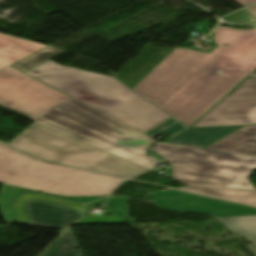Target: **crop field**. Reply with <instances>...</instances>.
<instances>
[{"instance_id":"crop-field-9","label":"crop field","mask_w":256,"mask_h":256,"mask_svg":"<svg viewBox=\"0 0 256 256\" xmlns=\"http://www.w3.org/2000/svg\"><path fill=\"white\" fill-rule=\"evenodd\" d=\"M256 124V78L242 84L192 127Z\"/></svg>"},{"instance_id":"crop-field-2","label":"crop field","mask_w":256,"mask_h":256,"mask_svg":"<svg viewBox=\"0 0 256 256\" xmlns=\"http://www.w3.org/2000/svg\"><path fill=\"white\" fill-rule=\"evenodd\" d=\"M25 74L141 132L172 117L114 77L62 66L52 60Z\"/></svg>"},{"instance_id":"crop-field-4","label":"crop field","mask_w":256,"mask_h":256,"mask_svg":"<svg viewBox=\"0 0 256 256\" xmlns=\"http://www.w3.org/2000/svg\"><path fill=\"white\" fill-rule=\"evenodd\" d=\"M123 179L36 161L0 143V183L60 197L109 195Z\"/></svg>"},{"instance_id":"crop-field-13","label":"crop field","mask_w":256,"mask_h":256,"mask_svg":"<svg viewBox=\"0 0 256 256\" xmlns=\"http://www.w3.org/2000/svg\"><path fill=\"white\" fill-rule=\"evenodd\" d=\"M239 126L189 128L169 141L205 147Z\"/></svg>"},{"instance_id":"crop-field-6","label":"crop field","mask_w":256,"mask_h":256,"mask_svg":"<svg viewBox=\"0 0 256 256\" xmlns=\"http://www.w3.org/2000/svg\"><path fill=\"white\" fill-rule=\"evenodd\" d=\"M9 144L46 161L127 178L150 171L35 122Z\"/></svg>"},{"instance_id":"crop-field-24","label":"crop field","mask_w":256,"mask_h":256,"mask_svg":"<svg viewBox=\"0 0 256 256\" xmlns=\"http://www.w3.org/2000/svg\"><path fill=\"white\" fill-rule=\"evenodd\" d=\"M105 196H93V197H72L70 199H74V200H78L81 201L83 203H87V202H91L100 198H103Z\"/></svg>"},{"instance_id":"crop-field-11","label":"crop field","mask_w":256,"mask_h":256,"mask_svg":"<svg viewBox=\"0 0 256 256\" xmlns=\"http://www.w3.org/2000/svg\"><path fill=\"white\" fill-rule=\"evenodd\" d=\"M207 149L256 157V126H244Z\"/></svg>"},{"instance_id":"crop-field-25","label":"crop field","mask_w":256,"mask_h":256,"mask_svg":"<svg viewBox=\"0 0 256 256\" xmlns=\"http://www.w3.org/2000/svg\"><path fill=\"white\" fill-rule=\"evenodd\" d=\"M235 1L238 2L240 5H242L243 7L256 2V0H235Z\"/></svg>"},{"instance_id":"crop-field-19","label":"crop field","mask_w":256,"mask_h":256,"mask_svg":"<svg viewBox=\"0 0 256 256\" xmlns=\"http://www.w3.org/2000/svg\"><path fill=\"white\" fill-rule=\"evenodd\" d=\"M100 223H127V220L118 215L110 216H88L76 224H100Z\"/></svg>"},{"instance_id":"crop-field-26","label":"crop field","mask_w":256,"mask_h":256,"mask_svg":"<svg viewBox=\"0 0 256 256\" xmlns=\"http://www.w3.org/2000/svg\"><path fill=\"white\" fill-rule=\"evenodd\" d=\"M247 10H249L253 16V18L256 20V5H253L251 7L246 8Z\"/></svg>"},{"instance_id":"crop-field-12","label":"crop field","mask_w":256,"mask_h":256,"mask_svg":"<svg viewBox=\"0 0 256 256\" xmlns=\"http://www.w3.org/2000/svg\"><path fill=\"white\" fill-rule=\"evenodd\" d=\"M45 47L47 45L0 34V70Z\"/></svg>"},{"instance_id":"crop-field-27","label":"crop field","mask_w":256,"mask_h":256,"mask_svg":"<svg viewBox=\"0 0 256 256\" xmlns=\"http://www.w3.org/2000/svg\"><path fill=\"white\" fill-rule=\"evenodd\" d=\"M108 198V197H107ZM107 198L100 199L98 201L92 202L90 204H105Z\"/></svg>"},{"instance_id":"crop-field-14","label":"crop field","mask_w":256,"mask_h":256,"mask_svg":"<svg viewBox=\"0 0 256 256\" xmlns=\"http://www.w3.org/2000/svg\"><path fill=\"white\" fill-rule=\"evenodd\" d=\"M256 206V191L184 187L178 188ZM215 197V198H216Z\"/></svg>"},{"instance_id":"crop-field-28","label":"crop field","mask_w":256,"mask_h":256,"mask_svg":"<svg viewBox=\"0 0 256 256\" xmlns=\"http://www.w3.org/2000/svg\"><path fill=\"white\" fill-rule=\"evenodd\" d=\"M251 251L256 255V244H250V245H247Z\"/></svg>"},{"instance_id":"crop-field-7","label":"crop field","mask_w":256,"mask_h":256,"mask_svg":"<svg viewBox=\"0 0 256 256\" xmlns=\"http://www.w3.org/2000/svg\"><path fill=\"white\" fill-rule=\"evenodd\" d=\"M68 98L12 66L0 71V106L27 118Z\"/></svg>"},{"instance_id":"crop-field-8","label":"crop field","mask_w":256,"mask_h":256,"mask_svg":"<svg viewBox=\"0 0 256 256\" xmlns=\"http://www.w3.org/2000/svg\"><path fill=\"white\" fill-rule=\"evenodd\" d=\"M12 204L17 223L61 229L82 218L84 207L75 201L39 193L21 194Z\"/></svg>"},{"instance_id":"crop-field-15","label":"crop field","mask_w":256,"mask_h":256,"mask_svg":"<svg viewBox=\"0 0 256 256\" xmlns=\"http://www.w3.org/2000/svg\"><path fill=\"white\" fill-rule=\"evenodd\" d=\"M235 233L256 243V216L218 219Z\"/></svg>"},{"instance_id":"crop-field-18","label":"crop field","mask_w":256,"mask_h":256,"mask_svg":"<svg viewBox=\"0 0 256 256\" xmlns=\"http://www.w3.org/2000/svg\"><path fill=\"white\" fill-rule=\"evenodd\" d=\"M22 189L3 185L0 191V210L5 221L14 222L11 209L10 200Z\"/></svg>"},{"instance_id":"crop-field-23","label":"crop field","mask_w":256,"mask_h":256,"mask_svg":"<svg viewBox=\"0 0 256 256\" xmlns=\"http://www.w3.org/2000/svg\"><path fill=\"white\" fill-rule=\"evenodd\" d=\"M127 202V196L110 197L107 205Z\"/></svg>"},{"instance_id":"crop-field-10","label":"crop field","mask_w":256,"mask_h":256,"mask_svg":"<svg viewBox=\"0 0 256 256\" xmlns=\"http://www.w3.org/2000/svg\"><path fill=\"white\" fill-rule=\"evenodd\" d=\"M154 199L163 208L201 212L215 218L256 215L254 207L173 190L154 192Z\"/></svg>"},{"instance_id":"crop-field-5","label":"crop field","mask_w":256,"mask_h":256,"mask_svg":"<svg viewBox=\"0 0 256 256\" xmlns=\"http://www.w3.org/2000/svg\"><path fill=\"white\" fill-rule=\"evenodd\" d=\"M151 150L172 164V178L188 186L256 190L249 180L256 158L158 142Z\"/></svg>"},{"instance_id":"crop-field-3","label":"crop field","mask_w":256,"mask_h":256,"mask_svg":"<svg viewBox=\"0 0 256 256\" xmlns=\"http://www.w3.org/2000/svg\"><path fill=\"white\" fill-rule=\"evenodd\" d=\"M30 119L150 170L156 162L145 156L151 137L72 98Z\"/></svg>"},{"instance_id":"crop-field-22","label":"crop field","mask_w":256,"mask_h":256,"mask_svg":"<svg viewBox=\"0 0 256 256\" xmlns=\"http://www.w3.org/2000/svg\"><path fill=\"white\" fill-rule=\"evenodd\" d=\"M117 214L125 217L128 219V207H127V203L125 204H121V205H117V206H113L112 207Z\"/></svg>"},{"instance_id":"crop-field-20","label":"crop field","mask_w":256,"mask_h":256,"mask_svg":"<svg viewBox=\"0 0 256 256\" xmlns=\"http://www.w3.org/2000/svg\"><path fill=\"white\" fill-rule=\"evenodd\" d=\"M174 122H176V120H174V119L171 118V119H169V120H167V121H165V122L159 124L158 126L152 128V129H150V130H148V131H146V132H144V133L147 134V135H149V136H151V135H153V134L159 132L160 130L166 128L167 126L173 124Z\"/></svg>"},{"instance_id":"crop-field-1","label":"crop field","mask_w":256,"mask_h":256,"mask_svg":"<svg viewBox=\"0 0 256 256\" xmlns=\"http://www.w3.org/2000/svg\"><path fill=\"white\" fill-rule=\"evenodd\" d=\"M214 33L210 54L178 48L132 90L191 126L256 69V26Z\"/></svg>"},{"instance_id":"crop-field-16","label":"crop field","mask_w":256,"mask_h":256,"mask_svg":"<svg viewBox=\"0 0 256 256\" xmlns=\"http://www.w3.org/2000/svg\"><path fill=\"white\" fill-rule=\"evenodd\" d=\"M41 256H80V255L73 241L70 230H68Z\"/></svg>"},{"instance_id":"crop-field-17","label":"crop field","mask_w":256,"mask_h":256,"mask_svg":"<svg viewBox=\"0 0 256 256\" xmlns=\"http://www.w3.org/2000/svg\"><path fill=\"white\" fill-rule=\"evenodd\" d=\"M63 52L64 51L50 46L12 66L16 67L17 69L21 70L24 73Z\"/></svg>"},{"instance_id":"crop-field-21","label":"crop field","mask_w":256,"mask_h":256,"mask_svg":"<svg viewBox=\"0 0 256 256\" xmlns=\"http://www.w3.org/2000/svg\"><path fill=\"white\" fill-rule=\"evenodd\" d=\"M186 128H188V127H186L185 125H183L182 123L179 122V123L169 127L168 129L164 130L163 132L173 136Z\"/></svg>"},{"instance_id":"crop-field-29","label":"crop field","mask_w":256,"mask_h":256,"mask_svg":"<svg viewBox=\"0 0 256 256\" xmlns=\"http://www.w3.org/2000/svg\"><path fill=\"white\" fill-rule=\"evenodd\" d=\"M253 77H256V70L251 75H249L247 78H253Z\"/></svg>"}]
</instances>
